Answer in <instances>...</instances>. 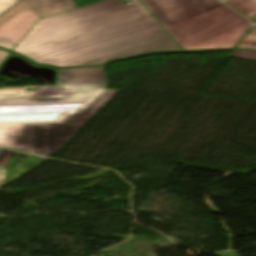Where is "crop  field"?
<instances>
[{
  "label": "crop field",
  "instance_id": "1",
  "mask_svg": "<svg viewBox=\"0 0 256 256\" xmlns=\"http://www.w3.org/2000/svg\"><path fill=\"white\" fill-rule=\"evenodd\" d=\"M182 50L138 3L103 0L39 20L13 52L54 67Z\"/></svg>",
  "mask_w": 256,
  "mask_h": 256
},
{
  "label": "crop field",
  "instance_id": "8",
  "mask_svg": "<svg viewBox=\"0 0 256 256\" xmlns=\"http://www.w3.org/2000/svg\"><path fill=\"white\" fill-rule=\"evenodd\" d=\"M224 3L245 16L256 14V0H228Z\"/></svg>",
  "mask_w": 256,
  "mask_h": 256
},
{
  "label": "crop field",
  "instance_id": "10",
  "mask_svg": "<svg viewBox=\"0 0 256 256\" xmlns=\"http://www.w3.org/2000/svg\"><path fill=\"white\" fill-rule=\"evenodd\" d=\"M231 56L241 57V58H249V59H256V52L236 50Z\"/></svg>",
  "mask_w": 256,
  "mask_h": 256
},
{
  "label": "crop field",
  "instance_id": "13",
  "mask_svg": "<svg viewBox=\"0 0 256 256\" xmlns=\"http://www.w3.org/2000/svg\"><path fill=\"white\" fill-rule=\"evenodd\" d=\"M75 3L78 5V7L95 2V1H99V0H74Z\"/></svg>",
  "mask_w": 256,
  "mask_h": 256
},
{
  "label": "crop field",
  "instance_id": "4",
  "mask_svg": "<svg viewBox=\"0 0 256 256\" xmlns=\"http://www.w3.org/2000/svg\"><path fill=\"white\" fill-rule=\"evenodd\" d=\"M38 20L19 1L0 15V38L17 45Z\"/></svg>",
  "mask_w": 256,
  "mask_h": 256
},
{
  "label": "crop field",
  "instance_id": "12",
  "mask_svg": "<svg viewBox=\"0 0 256 256\" xmlns=\"http://www.w3.org/2000/svg\"><path fill=\"white\" fill-rule=\"evenodd\" d=\"M0 47L6 48V49L12 51L13 48L15 47V45L6 41V40H4V39H0Z\"/></svg>",
  "mask_w": 256,
  "mask_h": 256
},
{
  "label": "crop field",
  "instance_id": "5",
  "mask_svg": "<svg viewBox=\"0 0 256 256\" xmlns=\"http://www.w3.org/2000/svg\"><path fill=\"white\" fill-rule=\"evenodd\" d=\"M46 160L27 153L0 149V188Z\"/></svg>",
  "mask_w": 256,
  "mask_h": 256
},
{
  "label": "crop field",
  "instance_id": "15",
  "mask_svg": "<svg viewBox=\"0 0 256 256\" xmlns=\"http://www.w3.org/2000/svg\"><path fill=\"white\" fill-rule=\"evenodd\" d=\"M250 34L256 35V27L253 29V31Z\"/></svg>",
  "mask_w": 256,
  "mask_h": 256
},
{
  "label": "crop field",
  "instance_id": "14",
  "mask_svg": "<svg viewBox=\"0 0 256 256\" xmlns=\"http://www.w3.org/2000/svg\"><path fill=\"white\" fill-rule=\"evenodd\" d=\"M8 52L0 49V62L7 56Z\"/></svg>",
  "mask_w": 256,
  "mask_h": 256
},
{
  "label": "crop field",
  "instance_id": "17",
  "mask_svg": "<svg viewBox=\"0 0 256 256\" xmlns=\"http://www.w3.org/2000/svg\"><path fill=\"white\" fill-rule=\"evenodd\" d=\"M221 1H223V2H224L225 0H221Z\"/></svg>",
  "mask_w": 256,
  "mask_h": 256
},
{
  "label": "crop field",
  "instance_id": "9",
  "mask_svg": "<svg viewBox=\"0 0 256 256\" xmlns=\"http://www.w3.org/2000/svg\"><path fill=\"white\" fill-rule=\"evenodd\" d=\"M240 48L256 50V36L248 35L244 42L241 44Z\"/></svg>",
  "mask_w": 256,
  "mask_h": 256
},
{
  "label": "crop field",
  "instance_id": "2",
  "mask_svg": "<svg viewBox=\"0 0 256 256\" xmlns=\"http://www.w3.org/2000/svg\"><path fill=\"white\" fill-rule=\"evenodd\" d=\"M117 92L66 86L0 89V146L49 156Z\"/></svg>",
  "mask_w": 256,
  "mask_h": 256
},
{
  "label": "crop field",
  "instance_id": "11",
  "mask_svg": "<svg viewBox=\"0 0 256 256\" xmlns=\"http://www.w3.org/2000/svg\"><path fill=\"white\" fill-rule=\"evenodd\" d=\"M19 0H0V14Z\"/></svg>",
  "mask_w": 256,
  "mask_h": 256
},
{
  "label": "crop field",
  "instance_id": "6",
  "mask_svg": "<svg viewBox=\"0 0 256 256\" xmlns=\"http://www.w3.org/2000/svg\"><path fill=\"white\" fill-rule=\"evenodd\" d=\"M57 85L107 88L104 67L60 69Z\"/></svg>",
  "mask_w": 256,
  "mask_h": 256
},
{
  "label": "crop field",
  "instance_id": "3",
  "mask_svg": "<svg viewBox=\"0 0 256 256\" xmlns=\"http://www.w3.org/2000/svg\"><path fill=\"white\" fill-rule=\"evenodd\" d=\"M183 50L234 48L251 25L216 0H140Z\"/></svg>",
  "mask_w": 256,
  "mask_h": 256
},
{
  "label": "crop field",
  "instance_id": "7",
  "mask_svg": "<svg viewBox=\"0 0 256 256\" xmlns=\"http://www.w3.org/2000/svg\"><path fill=\"white\" fill-rule=\"evenodd\" d=\"M39 19L76 8L72 0H20Z\"/></svg>",
  "mask_w": 256,
  "mask_h": 256
},
{
  "label": "crop field",
  "instance_id": "16",
  "mask_svg": "<svg viewBox=\"0 0 256 256\" xmlns=\"http://www.w3.org/2000/svg\"><path fill=\"white\" fill-rule=\"evenodd\" d=\"M255 15H252V16H248L249 19L253 20Z\"/></svg>",
  "mask_w": 256,
  "mask_h": 256
}]
</instances>
